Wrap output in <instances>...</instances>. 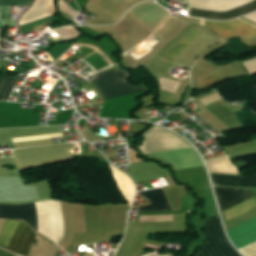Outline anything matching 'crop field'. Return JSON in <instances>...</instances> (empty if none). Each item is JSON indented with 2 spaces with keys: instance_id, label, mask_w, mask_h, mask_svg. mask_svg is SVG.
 Listing matches in <instances>:
<instances>
[{
  "instance_id": "crop-field-1",
  "label": "crop field",
  "mask_w": 256,
  "mask_h": 256,
  "mask_svg": "<svg viewBox=\"0 0 256 256\" xmlns=\"http://www.w3.org/2000/svg\"><path fill=\"white\" fill-rule=\"evenodd\" d=\"M215 195L218 199L221 212L255 196L248 189H233V188H221L213 187ZM256 208V196L223 212V222H227L235 217H238L250 210Z\"/></svg>"
},
{
  "instance_id": "crop-field-2",
  "label": "crop field",
  "mask_w": 256,
  "mask_h": 256,
  "mask_svg": "<svg viewBox=\"0 0 256 256\" xmlns=\"http://www.w3.org/2000/svg\"><path fill=\"white\" fill-rule=\"evenodd\" d=\"M203 231L206 240L195 256H241L225 237L219 216L206 218Z\"/></svg>"
},
{
  "instance_id": "crop-field-3",
  "label": "crop field",
  "mask_w": 256,
  "mask_h": 256,
  "mask_svg": "<svg viewBox=\"0 0 256 256\" xmlns=\"http://www.w3.org/2000/svg\"><path fill=\"white\" fill-rule=\"evenodd\" d=\"M35 234L23 221L7 220L0 233V247L27 256Z\"/></svg>"
},
{
  "instance_id": "crop-field-4",
  "label": "crop field",
  "mask_w": 256,
  "mask_h": 256,
  "mask_svg": "<svg viewBox=\"0 0 256 256\" xmlns=\"http://www.w3.org/2000/svg\"><path fill=\"white\" fill-rule=\"evenodd\" d=\"M92 83L101 92L104 100L144 91V87L135 88L125 81L129 76L118 70H109L96 75Z\"/></svg>"
},
{
  "instance_id": "crop-field-5",
  "label": "crop field",
  "mask_w": 256,
  "mask_h": 256,
  "mask_svg": "<svg viewBox=\"0 0 256 256\" xmlns=\"http://www.w3.org/2000/svg\"><path fill=\"white\" fill-rule=\"evenodd\" d=\"M227 234L237 249L256 241V218L228 230ZM239 251L245 256H256V242L239 249Z\"/></svg>"
},
{
  "instance_id": "crop-field-6",
  "label": "crop field",
  "mask_w": 256,
  "mask_h": 256,
  "mask_svg": "<svg viewBox=\"0 0 256 256\" xmlns=\"http://www.w3.org/2000/svg\"><path fill=\"white\" fill-rule=\"evenodd\" d=\"M206 26H208L213 32L226 40L232 39L238 36L242 42L250 39L256 35V28L239 20H233L229 22H211L203 20Z\"/></svg>"
},
{
  "instance_id": "crop-field-7",
  "label": "crop field",
  "mask_w": 256,
  "mask_h": 256,
  "mask_svg": "<svg viewBox=\"0 0 256 256\" xmlns=\"http://www.w3.org/2000/svg\"><path fill=\"white\" fill-rule=\"evenodd\" d=\"M255 10H256V0H253L247 4L228 10L226 12L206 11L203 9L190 8L189 16L206 18V19L229 20Z\"/></svg>"
},
{
  "instance_id": "crop-field-8",
  "label": "crop field",
  "mask_w": 256,
  "mask_h": 256,
  "mask_svg": "<svg viewBox=\"0 0 256 256\" xmlns=\"http://www.w3.org/2000/svg\"><path fill=\"white\" fill-rule=\"evenodd\" d=\"M0 217L23 219L36 229L33 203L22 205L0 204Z\"/></svg>"
},
{
  "instance_id": "crop-field-9",
  "label": "crop field",
  "mask_w": 256,
  "mask_h": 256,
  "mask_svg": "<svg viewBox=\"0 0 256 256\" xmlns=\"http://www.w3.org/2000/svg\"><path fill=\"white\" fill-rule=\"evenodd\" d=\"M56 13L53 0H36L30 9L22 15L19 25L39 20Z\"/></svg>"
},
{
  "instance_id": "crop-field-10",
  "label": "crop field",
  "mask_w": 256,
  "mask_h": 256,
  "mask_svg": "<svg viewBox=\"0 0 256 256\" xmlns=\"http://www.w3.org/2000/svg\"><path fill=\"white\" fill-rule=\"evenodd\" d=\"M209 172L238 175L237 170L227 154L205 160Z\"/></svg>"
},
{
  "instance_id": "crop-field-11",
  "label": "crop field",
  "mask_w": 256,
  "mask_h": 256,
  "mask_svg": "<svg viewBox=\"0 0 256 256\" xmlns=\"http://www.w3.org/2000/svg\"><path fill=\"white\" fill-rule=\"evenodd\" d=\"M151 201V205L140 208L138 211L171 210L161 188L140 192Z\"/></svg>"
},
{
  "instance_id": "crop-field-12",
  "label": "crop field",
  "mask_w": 256,
  "mask_h": 256,
  "mask_svg": "<svg viewBox=\"0 0 256 256\" xmlns=\"http://www.w3.org/2000/svg\"><path fill=\"white\" fill-rule=\"evenodd\" d=\"M214 185L256 186V174L245 178L231 175L210 174Z\"/></svg>"
},
{
  "instance_id": "crop-field-13",
  "label": "crop field",
  "mask_w": 256,
  "mask_h": 256,
  "mask_svg": "<svg viewBox=\"0 0 256 256\" xmlns=\"http://www.w3.org/2000/svg\"><path fill=\"white\" fill-rule=\"evenodd\" d=\"M16 80L0 77V101H7Z\"/></svg>"
},
{
  "instance_id": "crop-field-14",
  "label": "crop field",
  "mask_w": 256,
  "mask_h": 256,
  "mask_svg": "<svg viewBox=\"0 0 256 256\" xmlns=\"http://www.w3.org/2000/svg\"><path fill=\"white\" fill-rule=\"evenodd\" d=\"M198 32L192 31L166 58L172 62L184 49L185 47L198 35Z\"/></svg>"
},
{
  "instance_id": "crop-field-15",
  "label": "crop field",
  "mask_w": 256,
  "mask_h": 256,
  "mask_svg": "<svg viewBox=\"0 0 256 256\" xmlns=\"http://www.w3.org/2000/svg\"><path fill=\"white\" fill-rule=\"evenodd\" d=\"M200 80H201V83H202L204 89H206V88L212 86L213 84L221 81L217 71H215V72H213V73H211L207 76H204V77L200 78Z\"/></svg>"
},
{
  "instance_id": "crop-field-16",
  "label": "crop field",
  "mask_w": 256,
  "mask_h": 256,
  "mask_svg": "<svg viewBox=\"0 0 256 256\" xmlns=\"http://www.w3.org/2000/svg\"><path fill=\"white\" fill-rule=\"evenodd\" d=\"M75 29V28H74ZM72 27H64L60 28L58 30H55V32L63 39H72L79 35V33L74 30Z\"/></svg>"
},
{
  "instance_id": "crop-field-17",
  "label": "crop field",
  "mask_w": 256,
  "mask_h": 256,
  "mask_svg": "<svg viewBox=\"0 0 256 256\" xmlns=\"http://www.w3.org/2000/svg\"><path fill=\"white\" fill-rule=\"evenodd\" d=\"M33 0H0V6H30Z\"/></svg>"
},
{
  "instance_id": "crop-field-18",
  "label": "crop field",
  "mask_w": 256,
  "mask_h": 256,
  "mask_svg": "<svg viewBox=\"0 0 256 256\" xmlns=\"http://www.w3.org/2000/svg\"><path fill=\"white\" fill-rule=\"evenodd\" d=\"M58 6H59V10L67 13L68 15H70V16H72L74 18L78 14L71 7H69L63 0L58 2Z\"/></svg>"
},
{
  "instance_id": "crop-field-19",
  "label": "crop field",
  "mask_w": 256,
  "mask_h": 256,
  "mask_svg": "<svg viewBox=\"0 0 256 256\" xmlns=\"http://www.w3.org/2000/svg\"><path fill=\"white\" fill-rule=\"evenodd\" d=\"M244 65L246 66L250 74L256 72V58L249 60L247 62H244Z\"/></svg>"
},
{
  "instance_id": "crop-field-20",
  "label": "crop field",
  "mask_w": 256,
  "mask_h": 256,
  "mask_svg": "<svg viewBox=\"0 0 256 256\" xmlns=\"http://www.w3.org/2000/svg\"><path fill=\"white\" fill-rule=\"evenodd\" d=\"M0 256H16V255L0 249Z\"/></svg>"
},
{
  "instance_id": "crop-field-21",
  "label": "crop field",
  "mask_w": 256,
  "mask_h": 256,
  "mask_svg": "<svg viewBox=\"0 0 256 256\" xmlns=\"http://www.w3.org/2000/svg\"><path fill=\"white\" fill-rule=\"evenodd\" d=\"M244 17H246V18H248V19H250V20H252V21H255V22H256V12H255V13H253V14H250V15L244 16ZM244 17H243V18H244Z\"/></svg>"
},
{
  "instance_id": "crop-field-22",
  "label": "crop field",
  "mask_w": 256,
  "mask_h": 256,
  "mask_svg": "<svg viewBox=\"0 0 256 256\" xmlns=\"http://www.w3.org/2000/svg\"><path fill=\"white\" fill-rule=\"evenodd\" d=\"M147 256H161V255H157V254H155V253H152V254L147 255Z\"/></svg>"
},
{
  "instance_id": "crop-field-23",
  "label": "crop field",
  "mask_w": 256,
  "mask_h": 256,
  "mask_svg": "<svg viewBox=\"0 0 256 256\" xmlns=\"http://www.w3.org/2000/svg\"><path fill=\"white\" fill-rule=\"evenodd\" d=\"M0 26H1V23H0Z\"/></svg>"
},
{
  "instance_id": "crop-field-24",
  "label": "crop field",
  "mask_w": 256,
  "mask_h": 256,
  "mask_svg": "<svg viewBox=\"0 0 256 256\" xmlns=\"http://www.w3.org/2000/svg\"><path fill=\"white\" fill-rule=\"evenodd\" d=\"M1 32V31H0Z\"/></svg>"
}]
</instances>
